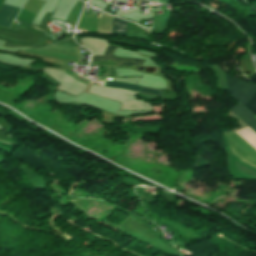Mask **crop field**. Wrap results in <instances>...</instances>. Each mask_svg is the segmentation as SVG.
I'll return each mask as SVG.
<instances>
[{"mask_svg": "<svg viewBox=\"0 0 256 256\" xmlns=\"http://www.w3.org/2000/svg\"><path fill=\"white\" fill-rule=\"evenodd\" d=\"M140 91L143 92V93H149V94H155V95H160L161 96V90H157V89H150V88L141 87Z\"/></svg>", "mask_w": 256, "mask_h": 256, "instance_id": "crop-field-7", "label": "crop field"}, {"mask_svg": "<svg viewBox=\"0 0 256 256\" xmlns=\"http://www.w3.org/2000/svg\"><path fill=\"white\" fill-rule=\"evenodd\" d=\"M112 34L127 36L126 22L114 17V21L112 23Z\"/></svg>", "mask_w": 256, "mask_h": 256, "instance_id": "crop-field-5", "label": "crop field"}, {"mask_svg": "<svg viewBox=\"0 0 256 256\" xmlns=\"http://www.w3.org/2000/svg\"><path fill=\"white\" fill-rule=\"evenodd\" d=\"M102 84H103V82H102ZM104 85L111 86V87L125 88V89H129V90H134V91H138L140 88L135 85L113 83V82H109V81H105Z\"/></svg>", "mask_w": 256, "mask_h": 256, "instance_id": "crop-field-6", "label": "crop field"}, {"mask_svg": "<svg viewBox=\"0 0 256 256\" xmlns=\"http://www.w3.org/2000/svg\"><path fill=\"white\" fill-rule=\"evenodd\" d=\"M234 112L244 123L256 132V119L254 116L245 109L242 105L238 104L231 110Z\"/></svg>", "mask_w": 256, "mask_h": 256, "instance_id": "crop-field-2", "label": "crop field"}, {"mask_svg": "<svg viewBox=\"0 0 256 256\" xmlns=\"http://www.w3.org/2000/svg\"><path fill=\"white\" fill-rule=\"evenodd\" d=\"M116 47H117V46L110 45V46L107 48L106 57H95V56H93L92 61H96V60H105V59L112 60V61H120L119 66L135 65V64H136V62L138 61V59L111 57V54H112L113 50H114ZM140 62H141V60H139L136 65H139Z\"/></svg>", "mask_w": 256, "mask_h": 256, "instance_id": "crop-field-3", "label": "crop field"}, {"mask_svg": "<svg viewBox=\"0 0 256 256\" xmlns=\"http://www.w3.org/2000/svg\"><path fill=\"white\" fill-rule=\"evenodd\" d=\"M225 76L231 96L256 116V85L242 82L226 73Z\"/></svg>", "mask_w": 256, "mask_h": 256, "instance_id": "crop-field-1", "label": "crop field"}, {"mask_svg": "<svg viewBox=\"0 0 256 256\" xmlns=\"http://www.w3.org/2000/svg\"><path fill=\"white\" fill-rule=\"evenodd\" d=\"M18 11V8L3 5L0 10V25L9 27Z\"/></svg>", "mask_w": 256, "mask_h": 256, "instance_id": "crop-field-4", "label": "crop field"}]
</instances>
